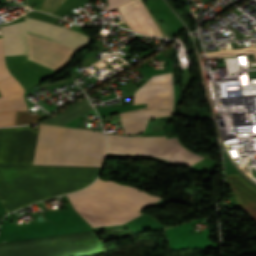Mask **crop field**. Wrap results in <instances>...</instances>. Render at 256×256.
Instances as JSON below:
<instances>
[{
	"label": "crop field",
	"instance_id": "8a807250",
	"mask_svg": "<svg viewBox=\"0 0 256 256\" xmlns=\"http://www.w3.org/2000/svg\"><path fill=\"white\" fill-rule=\"evenodd\" d=\"M0 129V163L101 167L103 134L92 130L39 125ZM0 164V201L14 211L38 200L90 184L100 168ZM7 212V213H8Z\"/></svg>",
	"mask_w": 256,
	"mask_h": 256
},
{
	"label": "crop field",
	"instance_id": "ac0d7876",
	"mask_svg": "<svg viewBox=\"0 0 256 256\" xmlns=\"http://www.w3.org/2000/svg\"><path fill=\"white\" fill-rule=\"evenodd\" d=\"M67 196L76 212L92 227L124 224L142 215L137 211L162 199L99 179L88 188Z\"/></svg>",
	"mask_w": 256,
	"mask_h": 256
},
{
	"label": "crop field",
	"instance_id": "34b2d1b8",
	"mask_svg": "<svg viewBox=\"0 0 256 256\" xmlns=\"http://www.w3.org/2000/svg\"><path fill=\"white\" fill-rule=\"evenodd\" d=\"M109 145L108 153L149 154L179 164L194 165L205 158L181 146L177 137H120L105 135Z\"/></svg>",
	"mask_w": 256,
	"mask_h": 256
},
{
	"label": "crop field",
	"instance_id": "412701ff",
	"mask_svg": "<svg viewBox=\"0 0 256 256\" xmlns=\"http://www.w3.org/2000/svg\"><path fill=\"white\" fill-rule=\"evenodd\" d=\"M133 102L147 103L146 107H173L171 73L152 76L135 93Z\"/></svg>",
	"mask_w": 256,
	"mask_h": 256
},
{
	"label": "crop field",
	"instance_id": "f4fd0767",
	"mask_svg": "<svg viewBox=\"0 0 256 256\" xmlns=\"http://www.w3.org/2000/svg\"><path fill=\"white\" fill-rule=\"evenodd\" d=\"M23 91L12 76L0 81V126L14 125L15 110H27Z\"/></svg>",
	"mask_w": 256,
	"mask_h": 256
},
{
	"label": "crop field",
	"instance_id": "dd49c442",
	"mask_svg": "<svg viewBox=\"0 0 256 256\" xmlns=\"http://www.w3.org/2000/svg\"><path fill=\"white\" fill-rule=\"evenodd\" d=\"M26 32L40 35L55 40L59 43L69 45L75 50L84 45L89 40V38L78 32L45 22L33 20L27 17Z\"/></svg>",
	"mask_w": 256,
	"mask_h": 256
},
{
	"label": "crop field",
	"instance_id": "e52e79f7",
	"mask_svg": "<svg viewBox=\"0 0 256 256\" xmlns=\"http://www.w3.org/2000/svg\"><path fill=\"white\" fill-rule=\"evenodd\" d=\"M117 8L129 29L143 34L161 36L140 0H131Z\"/></svg>",
	"mask_w": 256,
	"mask_h": 256
},
{
	"label": "crop field",
	"instance_id": "d8731c3e",
	"mask_svg": "<svg viewBox=\"0 0 256 256\" xmlns=\"http://www.w3.org/2000/svg\"><path fill=\"white\" fill-rule=\"evenodd\" d=\"M174 108H145L120 114L124 134H137L143 131L147 120L174 116Z\"/></svg>",
	"mask_w": 256,
	"mask_h": 256
},
{
	"label": "crop field",
	"instance_id": "5a996713",
	"mask_svg": "<svg viewBox=\"0 0 256 256\" xmlns=\"http://www.w3.org/2000/svg\"><path fill=\"white\" fill-rule=\"evenodd\" d=\"M226 184L238 205L256 222V188L239 174H226Z\"/></svg>",
	"mask_w": 256,
	"mask_h": 256
},
{
	"label": "crop field",
	"instance_id": "3316defc",
	"mask_svg": "<svg viewBox=\"0 0 256 256\" xmlns=\"http://www.w3.org/2000/svg\"><path fill=\"white\" fill-rule=\"evenodd\" d=\"M4 55L26 54L24 44V21L1 27Z\"/></svg>",
	"mask_w": 256,
	"mask_h": 256
},
{
	"label": "crop field",
	"instance_id": "28ad6ade",
	"mask_svg": "<svg viewBox=\"0 0 256 256\" xmlns=\"http://www.w3.org/2000/svg\"><path fill=\"white\" fill-rule=\"evenodd\" d=\"M93 109L89 103L84 99L77 104L71 106L70 108L64 110L63 112L59 113L58 115L52 117L51 119L47 120L44 123H51L63 126L66 123L70 122L74 118L88 112L89 110Z\"/></svg>",
	"mask_w": 256,
	"mask_h": 256
},
{
	"label": "crop field",
	"instance_id": "d1516ede",
	"mask_svg": "<svg viewBox=\"0 0 256 256\" xmlns=\"http://www.w3.org/2000/svg\"><path fill=\"white\" fill-rule=\"evenodd\" d=\"M41 119L37 113L31 116L27 112L16 111L15 125L36 123Z\"/></svg>",
	"mask_w": 256,
	"mask_h": 256
},
{
	"label": "crop field",
	"instance_id": "22f410ed",
	"mask_svg": "<svg viewBox=\"0 0 256 256\" xmlns=\"http://www.w3.org/2000/svg\"><path fill=\"white\" fill-rule=\"evenodd\" d=\"M63 0H42L39 10L50 13L54 11Z\"/></svg>",
	"mask_w": 256,
	"mask_h": 256
},
{
	"label": "crop field",
	"instance_id": "cbeb9de0",
	"mask_svg": "<svg viewBox=\"0 0 256 256\" xmlns=\"http://www.w3.org/2000/svg\"><path fill=\"white\" fill-rule=\"evenodd\" d=\"M11 75L8 71L4 58H3V51H2V44H1V36H0V80Z\"/></svg>",
	"mask_w": 256,
	"mask_h": 256
},
{
	"label": "crop field",
	"instance_id": "5142ce71",
	"mask_svg": "<svg viewBox=\"0 0 256 256\" xmlns=\"http://www.w3.org/2000/svg\"><path fill=\"white\" fill-rule=\"evenodd\" d=\"M4 215H6V214H0V220H1V218H2Z\"/></svg>",
	"mask_w": 256,
	"mask_h": 256
}]
</instances>
